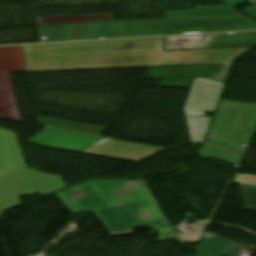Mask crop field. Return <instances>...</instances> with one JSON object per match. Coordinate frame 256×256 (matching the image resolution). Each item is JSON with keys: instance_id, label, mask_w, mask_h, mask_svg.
Returning <instances> with one entry per match:
<instances>
[{"instance_id": "5a996713", "label": "crop field", "mask_w": 256, "mask_h": 256, "mask_svg": "<svg viewBox=\"0 0 256 256\" xmlns=\"http://www.w3.org/2000/svg\"><path fill=\"white\" fill-rule=\"evenodd\" d=\"M246 209L256 210V187L240 185Z\"/></svg>"}, {"instance_id": "f4fd0767", "label": "crop field", "mask_w": 256, "mask_h": 256, "mask_svg": "<svg viewBox=\"0 0 256 256\" xmlns=\"http://www.w3.org/2000/svg\"><path fill=\"white\" fill-rule=\"evenodd\" d=\"M223 84L210 79H194L184 106L193 141H203L211 119L205 115L207 111H214Z\"/></svg>"}, {"instance_id": "28ad6ade", "label": "crop field", "mask_w": 256, "mask_h": 256, "mask_svg": "<svg viewBox=\"0 0 256 256\" xmlns=\"http://www.w3.org/2000/svg\"><path fill=\"white\" fill-rule=\"evenodd\" d=\"M219 1L233 7L235 5H238V4L242 3L245 0H219Z\"/></svg>"}, {"instance_id": "d1516ede", "label": "crop field", "mask_w": 256, "mask_h": 256, "mask_svg": "<svg viewBox=\"0 0 256 256\" xmlns=\"http://www.w3.org/2000/svg\"><path fill=\"white\" fill-rule=\"evenodd\" d=\"M205 237H213V235L205 234L203 238Z\"/></svg>"}, {"instance_id": "8a807250", "label": "crop field", "mask_w": 256, "mask_h": 256, "mask_svg": "<svg viewBox=\"0 0 256 256\" xmlns=\"http://www.w3.org/2000/svg\"><path fill=\"white\" fill-rule=\"evenodd\" d=\"M26 72L186 64H224L211 76L224 82L233 58L251 48L165 52L162 38L23 46Z\"/></svg>"}, {"instance_id": "dd49c442", "label": "crop field", "mask_w": 256, "mask_h": 256, "mask_svg": "<svg viewBox=\"0 0 256 256\" xmlns=\"http://www.w3.org/2000/svg\"><path fill=\"white\" fill-rule=\"evenodd\" d=\"M42 42L119 38L120 21L38 26Z\"/></svg>"}, {"instance_id": "34b2d1b8", "label": "crop field", "mask_w": 256, "mask_h": 256, "mask_svg": "<svg viewBox=\"0 0 256 256\" xmlns=\"http://www.w3.org/2000/svg\"><path fill=\"white\" fill-rule=\"evenodd\" d=\"M55 195L73 214L153 199L143 180H91Z\"/></svg>"}, {"instance_id": "3316defc", "label": "crop field", "mask_w": 256, "mask_h": 256, "mask_svg": "<svg viewBox=\"0 0 256 256\" xmlns=\"http://www.w3.org/2000/svg\"><path fill=\"white\" fill-rule=\"evenodd\" d=\"M241 12L244 13L245 15L251 17L252 19L256 20V5L248 8V9H245Z\"/></svg>"}, {"instance_id": "d8731c3e", "label": "crop field", "mask_w": 256, "mask_h": 256, "mask_svg": "<svg viewBox=\"0 0 256 256\" xmlns=\"http://www.w3.org/2000/svg\"><path fill=\"white\" fill-rule=\"evenodd\" d=\"M234 243L235 242L220 237L205 238L202 240L194 256H217L208 251L220 254L219 256H223Z\"/></svg>"}, {"instance_id": "e52e79f7", "label": "crop field", "mask_w": 256, "mask_h": 256, "mask_svg": "<svg viewBox=\"0 0 256 256\" xmlns=\"http://www.w3.org/2000/svg\"><path fill=\"white\" fill-rule=\"evenodd\" d=\"M0 117L21 121L9 74H0Z\"/></svg>"}, {"instance_id": "412701ff", "label": "crop field", "mask_w": 256, "mask_h": 256, "mask_svg": "<svg viewBox=\"0 0 256 256\" xmlns=\"http://www.w3.org/2000/svg\"><path fill=\"white\" fill-rule=\"evenodd\" d=\"M93 213L103 222L111 236L130 234L134 228L152 226L158 230L160 241L175 237L155 200Z\"/></svg>"}, {"instance_id": "ac0d7876", "label": "crop field", "mask_w": 256, "mask_h": 256, "mask_svg": "<svg viewBox=\"0 0 256 256\" xmlns=\"http://www.w3.org/2000/svg\"><path fill=\"white\" fill-rule=\"evenodd\" d=\"M62 178L26 167L14 133L0 129V215L19 205V197L64 188Z\"/></svg>"}]
</instances>
